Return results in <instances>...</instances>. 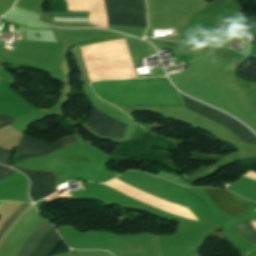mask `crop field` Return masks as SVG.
Segmentation results:
<instances>
[{
  "mask_svg": "<svg viewBox=\"0 0 256 256\" xmlns=\"http://www.w3.org/2000/svg\"><path fill=\"white\" fill-rule=\"evenodd\" d=\"M214 205L234 216L240 215L248 210L242 198L224 189L204 188Z\"/></svg>",
  "mask_w": 256,
  "mask_h": 256,
  "instance_id": "dd49c442",
  "label": "crop field"
},
{
  "mask_svg": "<svg viewBox=\"0 0 256 256\" xmlns=\"http://www.w3.org/2000/svg\"><path fill=\"white\" fill-rule=\"evenodd\" d=\"M85 124L101 136L116 138H122L126 128V125L103 115L95 108L92 110L90 120Z\"/></svg>",
  "mask_w": 256,
  "mask_h": 256,
  "instance_id": "e52e79f7",
  "label": "crop field"
},
{
  "mask_svg": "<svg viewBox=\"0 0 256 256\" xmlns=\"http://www.w3.org/2000/svg\"><path fill=\"white\" fill-rule=\"evenodd\" d=\"M234 226L241 236L256 245V230L251 227L248 221L235 223Z\"/></svg>",
  "mask_w": 256,
  "mask_h": 256,
  "instance_id": "d8731c3e",
  "label": "crop field"
},
{
  "mask_svg": "<svg viewBox=\"0 0 256 256\" xmlns=\"http://www.w3.org/2000/svg\"><path fill=\"white\" fill-rule=\"evenodd\" d=\"M109 24L146 28L143 0H105Z\"/></svg>",
  "mask_w": 256,
  "mask_h": 256,
  "instance_id": "412701ff",
  "label": "crop field"
},
{
  "mask_svg": "<svg viewBox=\"0 0 256 256\" xmlns=\"http://www.w3.org/2000/svg\"><path fill=\"white\" fill-rule=\"evenodd\" d=\"M12 123H13V118L6 115H0V128L10 125Z\"/></svg>",
  "mask_w": 256,
  "mask_h": 256,
  "instance_id": "3316defc",
  "label": "crop field"
},
{
  "mask_svg": "<svg viewBox=\"0 0 256 256\" xmlns=\"http://www.w3.org/2000/svg\"><path fill=\"white\" fill-rule=\"evenodd\" d=\"M170 82V81H169ZM167 78L92 83L96 95L115 106H182Z\"/></svg>",
  "mask_w": 256,
  "mask_h": 256,
  "instance_id": "ac0d7876",
  "label": "crop field"
},
{
  "mask_svg": "<svg viewBox=\"0 0 256 256\" xmlns=\"http://www.w3.org/2000/svg\"><path fill=\"white\" fill-rule=\"evenodd\" d=\"M131 60V59H130ZM131 64H132V62H131ZM133 65V64H132Z\"/></svg>",
  "mask_w": 256,
  "mask_h": 256,
  "instance_id": "d1516ede",
  "label": "crop field"
},
{
  "mask_svg": "<svg viewBox=\"0 0 256 256\" xmlns=\"http://www.w3.org/2000/svg\"><path fill=\"white\" fill-rule=\"evenodd\" d=\"M28 204L22 203L19 208L10 216V218L1 226V233L12 223V221L23 211V209ZM52 226L47 223L45 220L20 252L18 256H30L43 237L47 234ZM61 238L56 232V230L52 227L48 234L44 237L35 251L31 256H50L51 253L55 250V248L60 244Z\"/></svg>",
  "mask_w": 256,
  "mask_h": 256,
  "instance_id": "34b2d1b8",
  "label": "crop field"
},
{
  "mask_svg": "<svg viewBox=\"0 0 256 256\" xmlns=\"http://www.w3.org/2000/svg\"><path fill=\"white\" fill-rule=\"evenodd\" d=\"M12 152L13 151H11V150H6V149L0 148V163H3L5 165L12 167L10 165V158H11Z\"/></svg>",
  "mask_w": 256,
  "mask_h": 256,
  "instance_id": "5a996713",
  "label": "crop field"
},
{
  "mask_svg": "<svg viewBox=\"0 0 256 256\" xmlns=\"http://www.w3.org/2000/svg\"><path fill=\"white\" fill-rule=\"evenodd\" d=\"M180 96L186 108L227 127L234 134H236L243 142L256 145V136L234 118L220 111H217L203 103L190 99L182 95L181 93Z\"/></svg>",
  "mask_w": 256,
  "mask_h": 256,
  "instance_id": "f4fd0767",
  "label": "crop field"
},
{
  "mask_svg": "<svg viewBox=\"0 0 256 256\" xmlns=\"http://www.w3.org/2000/svg\"><path fill=\"white\" fill-rule=\"evenodd\" d=\"M77 142L79 141L73 135H70L50 146L44 142L23 135L15 149L14 159L49 154L57 149ZM72 163L94 162L85 157L63 158L46 155L35 158L14 160V167L56 172L60 167ZM16 170H19L28 176L31 182L30 196L32 201L36 202L37 200L57 191L55 188L54 173L24 169Z\"/></svg>",
  "mask_w": 256,
  "mask_h": 256,
  "instance_id": "8a807250",
  "label": "crop field"
},
{
  "mask_svg": "<svg viewBox=\"0 0 256 256\" xmlns=\"http://www.w3.org/2000/svg\"><path fill=\"white\" fill-rule=\"evenodd\" d=\"M15 171L0 165V179L7 177Z\"/></svg>",
  "mask_w": 256,
  "mask_h": 256,
  "instance_id": "28ad6ade",
  "label": "crop field"
}]
</instances>
